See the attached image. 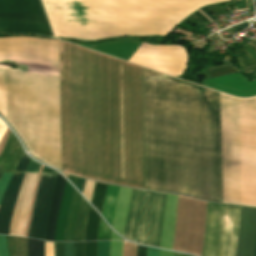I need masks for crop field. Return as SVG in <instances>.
Segmentation results:
<instances>
[{"instance_id":"8a807250","label":"crop field","mask_w":256,"mask_h":256,"mask_svg":"<svg viewBox=\"0 0 256 256\" xmlns=\"http://www.w3.org/2000/svg\"><path fill=\"white\" fill-rule=\"evenodd\" d=\"M240 206L220 204L215 256H234Z\"/></svg>"},{"instance_id":"ac0d7876","label":"crop field","mask_w":256,"mask_h":256,"mask_svg":"<svg viewBox=\"0 0 256 256\" xmlns=\"http://www.w3.org/2000/svg\"><path fill=\"white\" fill-rule=\"evenodd\" d=\"M57 174L42 173L32 214L28 237L42 239L45 236L46 218Z\"/></svg>"},{"instance_id":"34b2d1b8","label":"crop field","mask_w":256,"mask_h":256,"mask_svg":"<svg viewBox=\"0 0 256 256\" xmlns=\"http://www.w3.org/2000/svg\"><path fill=\"white\" fill-rule=\"evenodd\" d=\"M37 174L26 173L16 201L9 235L22 236L26 221L27 210Z\"/></svg>"},{"instance_id":"412701ff","label":"crop field","mask_w":256,"mask_h":256,"mask_svg":"<svg viewBox=\"0 0 256 256\" xmlns=\"http://www.w3.org/2000/svg\"><path fill=\"white\" fill-rule=\"evenodd\" d=\"M24 173H14L0 205V234L9 233L12 213Z\"/></svg>"},{"instance_id":"f4fd0767","label":"crop field","mask_w":256,"mask_h":256,"mask_svg":"<svg viewBox=\"0 0 256 256\" xmlns=\"http://www.w3.org/2000/svg\"><path fill=\"white\" fill-rule=\"evenodd\" d=\"M166 194L155 193L152 204L148 235L146 244L152 246H159L161 223L165 205Z\"/></svg>"},{"instance_id":"dd49c442","label":"crop field","mask_w":256,"mask_h":256,"mask_svg":"<svg viewBox=\"0 0 256 256\" xmlns=\"http://www.w3.org/2000/svg\"><path fill=\"white\" fill-rule=\"evenodd\" d=\"M219 204L208 202L202 256H214Z\"/></svg>"},{"instance_id":"e52e79f7","label":"crop field","mask_w":256,"mask_h":256,"mask_svg":"<svg viewBox=\"0 0 256 256\" xmlns=\"http://www.w3.org/2000/svg\"><path fill=\"white\" fill-rule=\"evenodd\" d=\"M145 192L146 191L133 189L130 198V204L123 236L134 242L136 238L137 224Z\"/></svg>"},{"instance_id":"d8731c3e","label":"crop field","mask_w":256,"mask_h":256,"mask_svg":"<svg viewBox=\"0 0 256 256\" xmlns=\"http://www.w3.org/2000/svg\"><path fill=\"white\" fill-rule=\"evenodd\" d=\"M176 202L177 196L167 194L159 247L171 249L175 223Z\"/></svg>"},{"instance_id":"5a996713","label":"crop field","mask_w":256,"mask_h":256,"mask_svg":"<svg viewBox=\"0 0 256 256\" xmlns=\"http://www.w3.org/2000/svg\"><path fill=\"white\" fill-rule=\"evenodd\" d=\"M23 153L18 140L10 132L5 147L0 154V171L13 172Z\"/></svg>"},{"instance_id":"3316defc","label":"crop field","mask_w":256,"mask_h":256,"mask_svg":"<svg viewBox=\"0 0 256 256\" xmlns=\"http://www.w3.org/2000/svg\"><path fill=\"white\" fill-rule=\"evenodd\" d=\"M65 182L66 180L58 174L50 209L48 212L45 240L54 241V229Z\"/></svg>"},{"instance_id":"28ad6ade","label":"crop field","mask_w":256,"mask_h":256,"mask_svg":"<svg viewBox=\"0 0 256 256\" xmlns=\"http://www.w3.org/2000/svg\"><path fill=\"white\" fill-rule=\"evenodd\" d=\"M130 188L120 187L118 201L114 213L112 227L121 235H123L124 223L127 214L129 198L131 194Z\"/></svg>"},{"instance_id":"d1516ede","label":"crop field","mask_w":256,"mask_h":256,"mask_svg":"<svg viewBox=\"0 0 256 256\" xmlns=\"http://www.w3.org/2000/svg\"><path fill=\"white\" fill-rule=\"evenodd\" d=\"M153 195L154 193L152 192H148V191L146 192V196L142 206L140 220L138 224V230H137L136 242L138 243L145 244V241H146V234H147L148 221H149Z\"/></svg>"},{"instance_id":"22f410ed","label":"crop field","mask_w":256,"mask_h":256,"mask_svg":"<svg viewBox=\"0 0 256 256\" xmlns=\"http://www.w3.org/2000/svg\"><path fill=\"white\" fill-rule=\"evenodd\" d=\"M80 199L81 196L74 190L69 206V212L63 241H73V229L76 221Z\"/></svg>"},{"instance_id":"cbeb9de0","label":"crop field","mask_w":256,"mask_h":256,"mask_svg":"<svg viewBox=\"0 0 256 256\" xmlns=\"http://www.w3.org/2000/svg\"><path fill=\"white\" fill-rule=\"evenodd\" d=\"M118 189L119 187L117 186L108 185L106 191L102 215L109 222L110 225L112 224L113 213L117 201Z\"/></svg>"},{"instance_id":"5142ce71","label":"crop field","mask_w":256,"mask_h":256,"mask_svg":"<svg viewBox=\"0 0 256 256\" xmlns=\"http://www.w3.org/2000/svg\"><path fill=\"white\" fill-rule=\"evenodd\" d=\"M100 217L90 207L84 230V241L97 240V230Z\"/></svg>"},{"instance_id":"d9b57169","label":"crop field","mask_w":256,"mask_h":256,"mask_svg":"<svg viewBox=\"0 0 256 256\" xmlns=\"http://www.w3.org/2000/svg\"><path fill=\"white\" fill-rule=\"evenodd\" d=\"M88 207L89 205L82 198L80 207H79L76 226L74 230V241H83V229H84V225H85V221L88 213Z\"/></svg>"},{"instance_id":"733c2abd","label":"crop field","mask_w":256,"mask_h":256,"mask_svg":"<svg viewBox=\"0 0 256 256\" xmlns=\"http://www.w3.org/2000/svg\"><path fill=\"white\" fill-rule=\"evenodd\" d=\"M106 184L97 183L95 184L94 193L92 197L91 203L94 205V207L101 213L103 200L105 196L106 191Z\"/></svg>"},{"instance_id":"4a817a6b","label":"crop field","mask_w":256,"mask_h":256,"mask_svg":"<svg viewBox=\"0 0 256 256\" xmlns=\"http://www.w3.org/2000/svg\"><path fill=\"white\" fill-rule=\"evenodd\" d=\"M12 238L15 256H27L26 239Z\"/></svg>"},{"instance_id":"bc2a9ffb","label":"crop field","mask_w":256,"mask_h":256,"mask_svg":"<svg viewBox=\"0 0 256 256\" xmlns=\"http://www.w3.org/2000/svg\"><path fill=\"white\" fill-rule=\"evenodd\" d=\"M29 256H44L43 242L28 239Z\"/></svg>"},{"instance_id":"214f88e0","label":"crop field","mask_w":256,"mask_h":256,"mask_svg":"<svg viewBox=\"0 0 256 256\" xmlns=\"http://www.w3.org/2000/svg\"><path fill=\"white\" fill-rule=\"evenodd\" d=\"M110 231L111 229L108 228L101 219L98 231V240H109Z\"/></svg>"},{"instance_id":"92a150f3","label":"crop field","mask_w":256,"mask_h":256,"mask_svg":"<svg viewBox=\"0 0 256 256\" xmlns=\"http://www.w3.org/2000/svg\"><path fill=\"white\" fill-rule=\"evenodd\" d=\"M123 242L111 241L110 256H122Z\"/></svg>"},{"instance_id":"dafd665d","label":"crop field","mask_w":256,"mask_h":256,"mask_svg":"<svg viewBox=\"0 0 256 256\" xmlns=\"http://www.w3.org/2000/svg\"><path fill=\"white\" fill-rule=\"evenodd\" d=\"M97 242L84 243V256H96Z\"/></svg>"},{"instance_id":"00972430","label":"crop field","mask_w":256,"mask_h":256,"mask_svg":"<svg viewBox=\"0 0 256 256\" xmlns=\"http://www.w3.org/2000/svg\"><path fill=\"white\" fill-rule=\"evenodd\" d=\"M109 243L107 242H98L97 256H109Z\"/></svg>"},{"instance_id":"a9b5d70f","label":"crop field","mask_w":256,"mask_h":256,"mask_svg":"<svg viewBox=\"0 0 256 256\" xmlns=\"http://www.w3.org/2000/svg\"><path fill=\"white\" fill-rule=\"evenodd\" d=\"M95 182L85 181L84 189L82 194L90 201Z\"/></svg>"},{"instance_id":"4177f3b9","label":"crop field","mask_w":256,"mask_h":256,"mask_svg":"<svg viewBox=\"0 0 256 256\" xmlns=\"http://www.w3.org/2000/svg\"><path fill=\"white\" fill-rule=\"evenodd\" d=\"M13 173H4L1 180H0V201H1V197L2 194L11 178Z\"/></svg>"},{"instance_id":"730fd06b","label":"crop field","mask_w":256,"mask_h":256,"mask_svg":"<svg viewBox=\"0 0 256 256\" xmlns=\"http://www.w3.org/2000/svg\"><path fill=\"white\" fill-rule=\"evenodd\" d=\"M29 157L26 156L24 153L22 159L20 160L18 166L16 167L15 171L25 172L27 163L29 161Z\"/></svg>"},{"instance_id":"eef30255","label":"crop field","mask_w":256,"mask_h":256,"mask_svg":"<svg viewBox=\"0 0 256 256\" xmlns=\"http://www.w3.org/2000/svg\"><path fill=\"white\" fill-rule=\"evenodd\" d=\"M39 166H40V164H38L35 161L30 159L26 172H37Z\"/></svg>"},{"instance_id":"ae1a2a85","label":"crop field","mask_w":256,"mask_h":256,"mask_svg":"<svg viewBox=\"0 0 256 256\" xmlns=\"http://www.w3.org/2000/svg\"><path fill=\"white\" fill-rule=\"evenodd\" d=\"M0 256H7L5 237L0 236Z\"/></svg>"},{"instance_id":"d3111659","label":"crop field","mask_w":256,"mask_h":256,"mask_svg":"<svg viewBox=\"0 0 256 256\" xmlns=\"http://www.w3.org/2000/svg\"><path fill=\"white\" fill-rule=\"evenodd\" d=\"M74 256H83V243H74Z\"/></svg>"},{"instance_id":"750c4746","label":"crop field","mask_w":256,"mask_h":256,"mask_svg":"<svg viewBox=\"0 0 256 256\" xmlns=\"http://www.w3.org/2000/svg\"><path fill=\"white\" fill-rule=\"evenodd\" d=\"M65 256H73V243H64Z\"/></svg>"},{"instance_id":"bd1437ed","label":"crop field","mask_w":256,"mask_h":256,"mask_svg":"<svg viewBox=\"0 0 256 256\" xmlns=\"http://www.w3.org/2000/svg\"><path fill=\"white\" fill-rule=\"evenodd\" d=\"M136 256H146V247L137 245Z\"/></svg>"},{"instance_id":"1d83c4d3","label":"crop field","mask_w":256,"mask_h":256,"mask_svg":"<svg viewBox=\"0 0 256 256\" xmlns=\"http://www.w3.org/2000/svg\"><path fill=\"white\" fill-rule=\"evenodd\" d=\"M147 256H159V250L147 247Z\"/></svg>"},{"instance_id":"120bbe31","label":"crop field","mask_w":256,"mask_h":256,"mask_svg":"<svg viewBox=\"0 0 256 256\" xmlns=\"http://www.w3.org/2000/svg\"><path fill=\"white\" fill-rule=\"evenodd\" d=\"M84 181H85V180L79 179V178H77V180H76L75 186L77 187V189H78L80 192H82L83 185H84Z\"/></svg>"},{"instance_id":"d32e631a","label":"crop field","mask_w":256,"mask_h":256,"mask_svg":"<svg viewBox=\"0 0 256 256\" xmlns=\"http://www.w3.org/2000/svg\"><path fill=\"white\" fill-rule=\"evenodd\" d=\"M110 240H123L119 236H117L113 231H111Z\"/></svg>"},{"instance_id":"5866460e","label":"crop field","mask_w":256,"mask_h":256,"mask_svg":"<svg viewBox=\"0 0 256 256\" xmlns=\"http://www.w3.org/2000/svg\"><path fill=\"white\" fill-rule=\"evenodd\" d=\"M174 253L160 250V256H173Z\"/></svg>"},{"instance_id":"028f5c9d","label":"crop field","mask_w":256,"mask_h":256,"mask_svg":"<svg viewBox=\"0 0 256 256\" xmlns=\"http://www.w3.org/2000/svg\"><path fill=\"white\" fill-rule=\"evenodd\" d=\"M8 242H9L11 256H14L13 248H12V238L10 236H8Z\"/></svg>"},{"instance_id":"e1f06a70","label":"crop field","mask_w":256,"mask_h":256,"mask_svg":"<svg viewBox=\"0 0 256 256\" xmlns=\"http://www.w3.org/2000/svg\"><path fill=\"white\" fill-rule=\"evenodd\" d=\"M68 179H69L73 184L75 183V179H76L75 177H72V176L69 175Z\"/></svg>"},{"instance_id":"0bd39190","label":"crop field","mask_w":256,"mask_h":256,"mask_svg":"<svg viewBox=\"0 0 256 256\" xmlns=\"http://www.w3.org/2000/svg\"><path fill=\"white\" fill-rule=\"evenodd\" d=\"M175 256H187V255H183V254H177V253H175Z\"/></svg>"},{"instance_id":"b80d0937","label":"crop field","mask_w":256,"mask_h":256,"mask_svg":"<svg viewBox=\"0 0 256 256\" xmlns=\"http://www.w3.org/2000/svg\"><path fill=\"white\" fill-rule=\"evenodd\" d=\"M2 129H3V126L0 124V133H1Z\"/></svg>"},{"instance_id":"c035e120","label":"crop field","mask_w":256,"mask_h":256,"mask_svg":"<svg viewBox=\"0 0 256 256\" xmlns=\"http://www.w3.org/2000/svg\"><path fill=\"white\" fill-rule=\"evenodd\" d=\"M254 256H256V244H255V252H254Z\"/></svg>"},{"instance_id":"c21b1889","label":"crop field","mask_w":256,"mask_h":256,"mask_svg":"<svg viewBox=\"0 0 256 256\" xmlns=\"http://www.w3.org/2000/svg\"><path fill=\"white\" fill-rule=\"evenodd\" d=\"M2 173H0V176H1Z\"/></svg>"}]
</instances>
